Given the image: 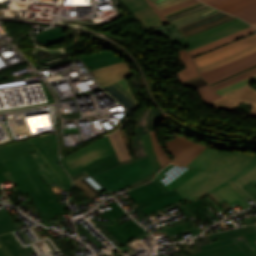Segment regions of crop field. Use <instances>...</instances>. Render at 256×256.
<instances>
[{
	"label": "crop field",
	"instance_id": "obj_1",
	"mask_svg": "<svg viewBox=\"0 0 256 256\" xmlns=\"http://www.w3.org/2000/svg\"><path fill=\"white\" fill-rule=\"evenodd\" d=\"M186 166L202 169L177 191L189 202L206 194L218 203H238L244 209L251 207L243 199L247 195L240 186L252 181L256 184V154L222 152L207 147Z\"/></svg>",
	"mask_w": 256,
	"mask_h": 256
},
{
	"label": "crop field",
	"instance_id": "obj_2",
	"mask_svg": "<svg viewBox=\"0 0 256 256\" xmlns=\"http://www.w3.org/2000/svg\"><path fill=\"white\" fill-rule=\"evenodd\" d=\"M32 151L28 140L0 147V162L6 165L21 194L30 195L43 222L50 227L47 219L69 212L66 204L57 203L58 196L36 170L40 167Z\"/></svg>",
	"mask_w": 256,
	"mask_h": 256
},
{
	"label": "crop field",
	"instance_id": "obj_3",
	"mask_svg": "<svg viewBox=\"0 0 256 256\" xmlns=\"http://www.w3.org/2000/svg\"><path fill=\"white\" fill-rule=\"evenodd\" d=\"M255 32L256 29L254 27L236 19L218 27L176 41L185 47L190 56L193 57Z\"/></svg>",
	"mask_w": 256,
	"mask_h": 256
},
{
	"label": "crop field",
	"instance_id": "obj_4",
	"mask_svg": "<svg viewBox=\"0 0 256 256\" xmlns=\"http://www.w3.org/2000/svg\"><path fill=\"white\" fill-rule=\"evenodd\" d=\"M154 172L150 159L146 156L109 169L95 175V177L100 180L109 191H111L110 193H113L114 191L130 185Z\"/></svg>",
	"mask_w": 256,
	"mask_h": 256
},
{
	"label": "crop field",
	"instance_id": "obj_5",
	"mask_svg": "<svg viewBox=\"0 0 256 256\" xmlns=\"http://www.w3.org/2000/svg\"><path fill=\"white\" fill-rule=\"evenodd\" d=\"M108 137L93 141L61 158L68 173H72L106 155L114 153Z\"/></svg>",
	"mask_w": 256,
	"mask_h": 256
},
{
	"label": "crop field",
	"instance_id": "obj_6",
	"mask_svg": "<svg viewBox=\"0 0 256 256\" xmlns=\"http://www.w3.org/2000/svg\"><path fill=\"white\" fill-rule=\"evenodd\" d=\"M109 206L113 210L104 213V215L113 223V225L107 226L106 228L121 244L127 243L133 238L147 232L133 219L120 225L116 219L127 214L116 202L109 204Z\"/></svg>",
	"mask_w": 256,
	"mask_h": 256
},
{
	"label": "crop field",
	"instance_id": "obj_7",
	"mask_svg": "<svg viewBox=\"0 0 256 256\" xmlns=\"http://www.w3.org/2000/svg\"><path fill=\"white\" fill-rule=\"evenodd\" d=\"M242 102L253 104L249 117L256 118V89H254L250 85L240 90H237L233 93H230L224 97H220L205 105H209L212 108H216L231 113Z\"/></svg>",
	"mask_w": 256,
	"mask_h": 256
},
{
	"label": "crop field",
	"instance_id": "obj_8",
	"mask_svg": "<svg viewBox=\"0 0 256 256\" xmlns=\"http://www.w3.org/2000/svg\"><path fill=\"white\" fill-rule=\"evenodd\" d=\"M165 142L167 148L175 157L171 163L184 166L206 148V145L198 142L196 143L178 134H175L174 138L168 139Z\"/></svg>",
	"mask_w": 256,
	"mask_h": 256
},
{
	"label": "crop field",
	"instance_id": "obj_9",
	"mask_svg": "<svg viewBox=\"0 0 256 256\" xmlns=\"http://www.w3.org/2000/svg\"><path fill=\"white\" fill-rule=\"evenodd\" d=\"M236 19L235 17L223 13L221 11L214 12L212 14L203 16L201 18L192 20L190 22L181 24L174 27L179 33L183 34L184 37L198 33L200 31L215 27L225 22Z\"/></svg>",
	"mask_w": 256,
	"mask_h": 256
},
{
	"label": "crop field",
	"instance_id": "obj_10",
	"mask_svg": "<svg viewBox=\"0 0 256 256\" xmlns=\"http://www.w3.org/2000/svg\"><path fill=\"white\" fill-rule=\"evenodd\" d=\"M256 64V52L239 58L227 65L214 68L205 72H201L200 75L209 83L216 82L237 72L245 70Z\"/></svg>",
	"mask_w": 256,
	"mask_h": 256
},
{
	"label": "crop field",
	"instance_id": "obj_11",
	"mask_svg": "<svg viewBox=\"0 0 256 256\" xmlns=\"http://www.w3.org/2000/svg\"><path fill=\"white\" fill-rule=\"evenodd\" d=\"M29 142L35 148V150L46 163V165L49 166V168L54 173V175L59 179V181L66 187L68 191H70L71 180L69 179L61 165L57 163V161L55 160V158L53 157V155L51 154V152L49 151L41 137L30 139Z\"/></svg>",
	"mask_w": 256,
	"mask_h": 256
},
{
	"label": "crop field",
	"instance_id": "obj_12",
	"mask_svg": "<svg viewBox=\"0 0 256 256\" xmlns=\"http://www.w3.org/2000/svg\"><path fill=\"white\" fill-rule=\"evenodd\" d=\"M91 72L102 87L117 82L125 77H129L133 74L128 61L91 70Z\"/></svg>",
	"mask_w": 256,
	"mask_h": 256
},
{
	"label": "crop field",
	"instance_id": "obj_13",
	"mask_svg": "<svg viewBox=\"0 0 256 256\" xmlns=\"http://www.w3.org/2000/svg\"><path fill=\"white\" fill-rule=\"evenodd\" d=\"M127 8L150 30L164 25L160 17L145 0H121Z\"/></svg>",
	"mask_w": 256,
	"mask_h": 256
},
{
	"label": "crop field",
	"instance_id": "obj_14",
	"mask_svg": "<svg viewBox=\"0 0 256 256\" xmlns=\"http://www.w3.org/2000/svg\"><path fill=\"white\" fill-rule=\"evenodd\" d=\"M128 193L136 202V204L146 200H148L151 204H153L178 194L176 190L164 194L153 180L144 185H141L137 188H134L128 191Z\"/></svg>",
	"mask_w": 256,
	"mask_h": 256
},
{
	"label": "crop field",
	"instance_id": "obj_15",
	"mask_svg": "<svg viewBox=\"0 0 256 256\" xmlns=\"http://www.w3.org/2000/svg\"><path fill=\"white\" fill-rule=\"evenodd\" d=\"M103 89L108 91L111 95L122 102L129 111L139 106L137 99L135 98L125 79L112 85L106 86Z\"/></svg>",
	"mask_w": 256,
	"mask_h": 256
},
{
	"label": "crop field",
	"instance_id": "obj_16",
	"mask_svg": "<svg viewBox=\"0 0 256 256\" xmlns=\"http://www.w3.org/2000/svg\"><path fill=\"white\" fill-rule=\"evenodd\" d=\"M80 58L89 70L125 61L113 51L99 52Z\"/></svg>",
	"mask_w": 256,
	"mask_h": 256
},
{
	"label": "crop field",
	"instance_id": "obj_17",
	"mask_svg": "<svg viewBox=\"0 0 256 256\" xmlns=\"http://www.w3.org/2000/svg\"><path fill=\"white\" fill-rule=\"evenodd\" d=\"M135 159H136V158H134V159H132V160H135ZM132 160H129V161H132ZM125 162H128V161H125ZM125 162L119 163V161H118V159H117V156H116V154L114 153V154H112V155L106 156V157H104V158H102V159H100V160H98V161H96V162L90 164L89 166H87V167H85V168H83V169H81V170H79V171H77V172L71 174V177L85 170V171L88 172L99 184H101V185L105 188V186H104L102 183H100L93 175H95V174H97V173H100V172H102V171H105V170H107V169H109V168H112V167H114V166H117V165H119V164L125 163ZM105 189H106V188H105ZM106 190H107V189H106ZM106 190H105V191H106ZM107 192H108V190H107ZM108 193H109V192H108ZM109 194H110V193H109ZM110 195H111V194H110Z\"/></svg>",
	"mask_w": 256,
	"mask_h": 256
},
{
	"label": "crop field",
	"instance_id": "obj_18",
	"mask_svg": "<svg viewBox=\"0 0 256 256\" xmlns=\"http://www.w3.org/2000/svg\"><path fill=\"white\" fill-rule=\"evenodd\" d=\"M255 44H256V38L251 39V40H249L247 42H244L242 44H239V45H237L235 47H232L230 49H227V50H225L223 52H220L218 54H215V55H212L210 57H207V58L201 59L199 61H196L195 63L197 65V67L199 68V67L204 66L206 64L221 60V59L226 58L230 55H233L235 53L243 51V50H245V49H247V48H249V47H251Z\"/></svg>",
	"mask_w": 256,
	"mask_h": 256
},
{
	"label": "crop field",
	"instance_id": "obj_19",
	"mask_svg": "<svg viewBox=\"0 0 256 256\" xmlns=\"http://www.w3.org/2000/svg\"><path fill=\"white\" fill-rule=\"evenodd\" d=\"M178 53L187 67L186 69L175 74L176 77L180 80V82L199 76V73L195 67V64L193 60L190 58V56L188 55V53L184 49L178 50Z\"/></svg>",
	"mask_w": 256,
	"mask_h": 256
},
{
	"label": "crop field",
	"instance_id": "obj_20",
	"mask_svg": "<svg viewBox=\"0 0 256 256\" xmlns=\"http://www.w3.org/2000/svg\"><path fill=\"white\" fill-rule=\"evenodd\" d=\"M64 28L56 27L52 29H48L34 38L35 42L39 41L46 45H50L56 42H62L66 39L65 35L62 33Z\"/></svg>",
	"mask_w": 256,
	"mask_h": 256
},
{
	"label": "crop field",
	"instance_id": "obj_21",
	"mask_svg": "<svg viewBox=\"0 0 256 256\" xmlns=\"http://www.w3.org/2000/svg\"><path fill=\"white\" fill-rule=\"evenodd\" d=\"M0 240L8 248V250L13 254V256H29L23 246L18 242V240L13 236L12 233L0 236ZM0 256H5L0 249Z\"/></svg>",
	"mask_w": 256,
	"mask_h": 256
},
{
	"label": "crop field",
	"instance_id": "obj_22",
	"mask_svg": "<svg viewBox=\"0 0 256 256\" xmlns=\"http://www.w3.org/2000/svg\"><path fill=\"white\" fill-rule=\"evenodd\" d=\"M204 3L229 12L241 6L256 2V0H201Z\"/></svg>",
	"mask_w": 256,
	"mask_h": 256
},
{
	"label": "crop field",
	"instance_id": "obj_23",
	"mask_svg": "<svg viewBox=\"0 0 256 256\" xmlns=\"http://www.w3.org/2000/svg\"><path fill=\"white\" fill-rule=\"evenodd\" d=\"M196 216H198L202 221L206 220L210 225L214 224L210 219H208L202 212L207 211L216 221H219L207 208L209 207L201 198L189 203L185 199L181 200Z\"/></svg>",
	"mask_w": 256,
	"mask_h": 256
},
{
	"label": "crop field",
	"instance_id": "obj_24",
	"mask_svg": "<svg viewBox=\"0 0 256 256\" xmlns=\"http://www.w3.org/2000/svg\"><path fill=\"white\" fill-rule=\"evenodd\" d=\"M214 11H217L207 5L197 9V10H194L192 12H189V13H186L184 15H181V16H178V17H175V18H172V19H169V21L172 23L171 25L172 26H176V25H179L181 23H184V22H187V21H190L192 19H195V18H198V17H201L203 15H206V14H209V13H212Z\"/></svg>",
	"mask_w": 256,
	"mask_h": 256
},
{
	"label": "crop field",
	"instance_id": "obj_25",
	"mask_svg": "<svg viewBox=\"0 0 256 256\" xmlns=\"http://www.w3.org/2000/svg\"><path fill=\"white\" fill-rule=\"evenodd\" d=\"M90 176L85 171L72 177L74 183L86 194L90 199L100 193V190L96 189L93 185H91L85 178ZM103 188V187H102ZM101 189V188H100Z\"/></svg>",
	"mask_w": 256,
	"mask_h": 256
},
{
	"label": "crop field",
	"instance_id": "obj_26",
	"mask_svg": "<svg viewBox=\"0 0 256 256\" xmlns=\"http://www.w3.org/2000/svg\"><path fill=\"white\" fill-rule=\"evenodd\" d=\"M108 137L116 151L119 161L121 162V161L129 160L130 156L127 152V149L124 145V142L121 138L119 131H116L115 133L109 135Z\"/></svg>",
	"mask_w": 256,
	"mask_h": 256
},
{
	"label": "crop field",
	"instance_id": "obj_27",
	"mask_svg": "<svg viewBox=\"0 0 256 256\" xmlns=\"http://www.w3.org/2000/svg\"><path fill=\"white\" fill-rule=\"evenodd\" d=\"M195 240L198 243L201 251L234 243L232 238L219 242L216 234L197 238Z\"/></svg>",
	"mask_w": 256,
	"mask_h": 256
},
{
	"label": "crop field",
	"instance_id": "obj_28",
	"mask_svg": "<svg viewBox=\"0 0 256 256\" xmlns=\"http://www.w3.org/2000/svg\"><path fill=\"white\" fill-rule=\"evenodd\" d=\"M140 137H141V141H142L143 148H144V154L149 155L151 162L154 166V169L156 171V174H157L162 169H161V167L158 163V160L156 158V155L154 153V149H153L149 131L147 133L141 135Z\"/></svg>",
	"mask_w": 256,
	"mask_h": 256
},
{
	"label": "crop field",
	"instance_id": "obj_29",
	"mask_svg": "<svg viewBox=\"0 0 256 256\" xmlns=\"http://www.w3.org/2000/svg\"><path fill=\"white\" fill-rule=\"evenodd\" d=\"M150 133H151L155 153H156L157 158H158V160H159V162H160V164L163 168L168 163H170L171 160H170L167 152L165 151V149L162 148V146L159 142L157 129L151 130Z\"/></svg>",
	"mask_w": 256,
	"mask_h": 256
},
{
	"label": "crop field",
	"instance_id": "obj_30",
	"mask_svg": "<svg viewBox=\"0 0 256 256\" xmlns=\"http://www.w3.org/2000/svg\"><path fill=\"white\" fill-rule=\"evenodd\" d=\"M250 24L256 22V3L229 12Z\"/></svg>",
	"mask_w": 256,
	"mask_h": 256
},
{
	"label": "crop field",
	"instance_id": "obj_31",
	"mask_svg": "<svg viewBox=\"0 0 256 256\" xmlns=\"http://www.w3.org/2000/svg\"><path fill=\"white\" fill-rule=\"evenodd\" d=\"M236 251H240V249L234 243V244L222 246L219 248L203 251V252L196 253L193 255H188V256H220V255H224V254H228Z\"/></svg>",
	"mask_w": 256,
	"mask_h": 256
},
{
	"label": "crop field",
	"instance_id": "obj_32",
	"mask_svg": "<svg viewBox=\"0 0 256 256\" xmlns=\"http://www.w3.org/2000/svg\"><path fill=\"white\" fill-rule=\"evenodd\" d=\"M18 230L17 225L8 214L7 210L0 209V234Z\"/></svg>",
	"mask_w": 256,
	"mask_h": 256
},
{
	"label": "crop field",
	"instance_id": "obj_33",
	"mask_svg": "<svg viewBox=\"0 0 256 256\" xmlns=\"http://www.w3.org/2000/svg\"><path fill=\"white\" fill-rule=\"evenodd\" d=\"M199 170L189 168L186 171H184L182 174H180L177 178H175L173 181H171L169 184L166 185V187L171 191L173 189H176L189 181L192 177H194Z\"/></svg>",
	"mask_w": 256,
	"mask_h": 256
},
{
	"label": "crop field",
	"instance_id": "obj_34",
	"mask_svg": "<svg viewBox=\"0 0 256 256\" xmlns=\"http://www.w3.org/2000/svg\"><path fill=\"white\" fill-rule=\"evenodd\" d=\"M181 199H183V197L180 194H178V195H176L174 197H171L169 199H166L162 202H159V203L154 204V205L147 206V207L139 209V210H142L146 215H148V214H150L152 212H155L159 209H162V208H164V207H166V206H168L172 203H175V202H177ZM139 210H136V211H139ZM136 211H134V212H136ZM134 212H131L130 214H132Z\"/></svg>",
	"mask_w": 256,
	"mask_h": 256
},
{
	"label": "crop field",
	"instance_id": "obj_35",
	"mask_svg": "<svg viewBox=\"0 0 256 256\" xmlns=\"http://www.w3.org/2000/svg\"><path fill=\"white\" fill-rule=\"evenodd\" d=\"M254 51H256V45L253 46V47H251V48H249V49H247V50H245V51H243V52H240V53H238V54H235V55H233V56H231V57H228V58L223 59V60H221V61H218V62L209 64V65H206V66H204V67H201V68H199L198 70H199V72H201V71H205V70H208V69H211V68H214V67H218V66L227 64V63H229V62H231V61H233V60H235V59H237V58H239V57H242V56L247 55V54H249V53H252V52H254Z\"/></svg>",
	"mask_w": 256,
	"mask_h": 256
},
{
	"label": "crop field",
	"instance_id": "obj_36",
	"mask_svg": "<svg viewBox=\"0 0 256 256\" xmlns=\"http://www.w3.org/2000/svg\"><path fill=\"white\" fill-rule=\"evenodd\" d=\"M185 232H187V230L182 225V223H180V224L173 225V226H170L168 228H165L163 230L153 232V234L156 238H159V237H164V236L169 237V236H173V235H176V234H179V233L182 234V233H185Z\"/></svg>",
	"mask_w": 256,
	"mask_h": 256
},
{
	"label": "crop field",
	"instance_id": "obj_37",
	"mask_svg": "<svg viewBox=\"0 0 256 256\" xmlns=\"http://www.w3.org/2000/svg\"><path fill=\"white\" fill-rule=\"evenodd\" d=\"M254 82H256V75H254L252 77H249V78H247L245 80H242V81H240L238 83H235V84H233V85H231L229 87L226 86L227 88L216 90V92L218 94L224 96V95H226V94H228L230 92H233V91H235L237 89H240V88H242V87H244V86H246L248 84L254 83Z\"/></svg>",
	"mask_w": 256,
	"mask_h": 256
},
{
	"label": "crop field",
	"instance_id": "obj_38",
	"mask_svg": "<svg viewBox=\"0 0 256 256\" xmlns=\"http://www.w3.org/2000/svg\"><path fill=\"white\" fill-rule=\"evenodd\" d=\"M196 91H197L202 103H204V104L213 99L220 97L218 94H216L213 91L212 87L209 85L199 88Z\"/></svg>",
	"mask_w": 256,
	"mask_h": 256
},
{
	"label": "crop field",
	"instance_id": "obj_39",
	"mask_svg": "<svg viewBox=\"0 0 256 256\" xmlns=\"http://www.w3.org/2000/svg\"><path fill=\"white\" fill-rule=\"evenodd\" d=\"M254 231H256V230H255L254 226L251 225V226L243 227V228L236 229V230L218 233L217 235L219 237V240L221 241V240H224V239H227L230 237L239 236L241 234L254 232Z\"/></svg>",
	"mask_w": 256,
	"mask_h": 256
},
{
	"label": "crop field",
	"instance_id": "obj_40",
	"mask_svg": "<svg viewBox=\"0 0 256 256\" xmlns=\"http://www.w3.org/2000/svg\"><path fill=\"white\" fill-rule=\"evenodd\" d=\"M42 139L56 158L59 163V152H58V144H57V137L55 134L43 136ZM60 164V163H59Z\"/></svg>",
	"mask_w": 256,
	"mask_h": 256
},
{
	"label": "crop field",
	"instance_id": "obj_41",
	"mask_svg": "<svg viewBox=\"0 0 256 256\" xmlns=\"http://www.w3.org/2000/svg\"><path fill=\"white\" fill-rule=\"evenodd\" d=\"M254 37H256V33L253 34V35H251V36H248V37H246V38H244V39H241V40L238 39L239 41H236V42H234V43L228 44V45H226V46H223V47L217 48V49H215V50L209 51V52H207V53H204V54L198 55V56H196V57H193L192 59H193L194 61L199 60V59H201V58H204V57L210 56V55H212V54L218 53V52H220V51H223V50H225V49H227V48H230V47H232V46H235V45H237V44H239V43H242V42L247 41V40H249V39H251V38H254Z\"/></svg>",
	"mask_w": 256,
	"mask_h": 256
},
{
	"label": "crop field",
	"instance_id": "obj_42",
	"mask_svg": "<svg viewBox=\"0 0 256 256\" xmlns=\"http://www.w3.org/2000/svg\"><path fill=\"white\" fill-rule=\"evenodd\" d=\"M186 169L187 168H185V167L175 165L170 170H168L166 173H164L167 176L164 179H162L161 181L166 185L167 183H169L171 180H173L176 176H178L180 173H182Z\"/></svg>",
	"mask_w": 256,
	"mask_h": 256
},
{
	"label": "crop field",
	"instance_id": "obj_43",
	"mask_svg": "<svg viewBox=\"0 0 256 256\" xmlns=\"http://www.w3.org/2000/svg\"><path fill=\"white\" fill-rule=\"evenodd\" d=\"M197 2H199V1L198 0H188V1H185V2H182V3H179L177 5L161 9V11L163 12L164 15H166V14H169L171 12L177 11L179 9H182V8L188 7L190 5H193Z\"/></svg>",
	"mask_w": 256,
	"mask_h": 256
},
{
	"label": "crop field",
	"instance_id": "obj_44",
	"mask_svg": "<svg viewBox=\"0 0 256 256\" xmlns=\"http://www.w3.org/2000/svg\"><path fill=\"white\" fill-rule=\"evenodd\" d=\"M255 70H256V66H254V67H252V68H249V69H247V70H245V71H242V72H240V73H237V74H235V75H233V76H230V77H228V78H226V79H223V80H221V81H218V82H216V83H212L211 86L214 87V86L221 85V84H223V83H226V82H229V81H231V80H234V79H236V78H238V77H241V76H243V75H245V74H248V73H250V72H252V71H255Z\"/></svg>",
	"mask_w": 256,
	"mask_h": 256
},
{
	"label": "crop field",
	"instance_id": "obj_45",
	"mask_svg": "<svg viewBox=\"0 0 256 256\" xmlns=\"http://www.w3.org/2000/svg\"><path fill=\"white\" fill-rule=\"evenodd\" d=\"M207 84L208 83L206 81H204L200 76L193 78L191 80L182 82L183 86H190V87H194V88H199V87H202Z\"/></svg>",
	"mask_w": 256,
	"mask_h": 256
},
{
	"label": "crop field",
	"instance_id": "obj_46",
	"mask_svg": "<svg viewBox=\"0 0 256 256\" xmlns=\"http://www.w3.org/2000/svg\"><path fill=\"white\" fill-rule=\"evenodd\" d=\"M152 1L155 3V5L159 9H161V8L168 7V6L177 4V3L185 1V0H152Z\"/></svg>",
	"mask_w": 256,
	"mask_h": 256
},
{
	"label": "crop field",
	"instance_id": "obj_47",
	"mask_svg": "<svg viewBox=\"0 0 256 256\" xmlns=\"http://www.w3.org/2000/svg\"><path fill=\"white\" fill-rule=\"evenodd\" d=\"M203 5H205V4H203V3L200 2V3L196 4V5H193V6H190V7H188V8L182 9V10H180V11H177V12L171 13V14H169V15H166V17H167V19H169V18L178 16V15L184 14V13H186V12L192 11V10H194V9H197V8L203 6Z\"/></svg>",
	"mask_w": 256,
	"mask_h": 256
},
{
	"label": "crop field",
	"instance_id": "obj_48",
	"mask_svg": "<svg viewBox=\"0 0 256 256\" xmlns=\"http://www.w3.org/2000/svg\"><path fill=\"white\" fill-rule=\"evenodd\" d=\"M12 180L8 170L4 166L3 162L0 163V183Z\"/></svg>",
	"mask_w": 256,
	"mask_h": 256
},
{
	"label": "crop field",
	"instance_id": "obj_49",
	"mask_svg": "<svg viewBox=\"0 0 256 256\" xmlns=\"http://www.w3.org/2000/svg\"><path fill=\"white\" fill-rule=\"evenodd\" d=\"M256 228V225H254ZM246 237V239L248 240L247 243L249 244V246L254 250V252L256 253V232L254 233H250V234H245L244 235Z\"/></svg>",
	"mask_w": 256,
	"mask_h": 256
},
{
	"label": "crop field",
	"instance_id": "obj_50",
	"mask_svg": "<svg viewBox=\"0 0 256 256\" xmlns=\"http://www.w3.org/2000/svg\"><path fill=\"white\" fill-rule=\"evenodd\" d=\"M237 245L247 256H256V254L252 251V249L247 245L246 242H241Z\"/></svg>",
	"mask_w": 256,
	"mask_h": 256
},
{
	"label": "crop field",
	"instance_id": "obj_51",
	"mask_svg": "<svg viewBox=\"0 0 256 256\" xmlns=\"http://www.w3.org/2000/svg\"><path fill=\"white\" fill-rule=\"evenodd\" d=\"M149 5L155 10V12L161 17V19L164 21L166 24H171L165 16L161 13V11L154 5V3L151 0H146Z\"/></svg>",
	"mask_w": 256,
	"mask_h": 256
},
{
	"label": "crop field",
	"instance_id": "obj_52",
	"mask_svg": "<svg viewBox=\"0 0 256 256\" xmlns=\"http://www.w3.org/2000/svg\"><path fill=\"white\" fill-rule=\"evenodd\" d=\"M254 74H256V71L253 72V73H250V74H248V75H245V76H243V77H241V78H238V79H236V80H234V81H231V82H229V83L223 84V85L218 86V87H214V90L220 89V88H224V87H226V86H229V85H231V84H233V83H235V82H238V81H240V80H242V79H245V78H247V77H249V76H252V75H254Z\"/></svg>",
	"mask_w": 256,
	"mask_h": 256
},
{
	"label": "crop field",
	"instance_id": "obj_53",
	"mask_svg": "<svg viewBox=\"0 0 256 256\" xmlns=\"http://www.w3.org/2000/svg\"><path fill=\"white\" fill-rule=\"evenodd\" d=\"M96 224L99 226V228L114 242H118L109 232L108 230L105 228V226L100 222H96Z\"/></svg>",
	"mask_w": 256,
	"mask_h": 256
},
{
	"label": "crop field",
	"instance_id": "obj_54",
	"mask_svg": "<svg viewBox=\"0 0 256 256\" xmlns=\"http://www.w3.org/2000/svg\"><path fill=\"white\" fill-rule=\"evenodd\" d=\"M242 188L256 201V191H254L248 184L242 186Z\"/></svg>",
	"mask_w": 256,
	"mask_h": 256
},
{
	"label": "crop field",
	"instance_id": "obj_55",
	"mask_svg": "<svg viewBox=\"0 0 256 256\" xmlns=\"http://www.w3.org/2000/svg\"><path fill=\"white\" fill-rule=\"evenodd\" d=\"M252 105H248V104H244L242 103L237 109L236 111H240V112H244V113H248L251 109Z\"/></svg>",
	"mask_w": 256,
	"mask_h": 256
},
{
	"label": "crop field",
	"instance_id": "obj_56",
	"mask_svg": "<svg viewBox=\"0 0 256 256\" xmlns=\"http://www.w3.org/2000/svg\"><path fill=\"white\" fill-rule=\"evenodd\" d=\"M154 175H155V173L152 174V175H150V176H148V177H146V178H144V179H142V180H140V181H138V182H136V183H134V184H132V185H130L131 188H134V187H136V186H138V185H141V184H143V183H145V182H147V181L152 180V178L154 177Z\"/></svg>",
	"mask_w": 256,
	"mask_h": 256
},
{
	"label": "crop field",
	"instance_id": "obj_57",
	"mask_svg": "<svg viewBox=\"0 0 256 256\" xmlns=\"http://www.w3.org/2000/svg\"><path fill=\"white\" fill-rule=\"evenodd\" d=\"M182 223L184 224L188 231L196 228V226L190 220L184 221Z\"/></svg>",
	"mask_w": 256,
	"mask_h": 256
},
{
	"label": "crop field",
	"instance_id": "obj_58",
	"mask_svg": "<svg viewBox=\"0 0 256 256\" xmlns=\"http://www.w3.org/2000/svg\"><path fill=\"white\" fill-rule=\"evenodd\" d=\"M154 181L162 189L164 193L169 192V190L160 182V180L157 177L154 179Z\"/></svg>",
	"mask_w": 256,
	"mask_h": 256
},
{
	"label": "crop field",
	"instance_id": "obj_59",
	"mask_svg": "<svg viewBox=\"0 0 256 256\" xmlns=\"http://www.w3.org/2000/svg\"><path fill=\"white\" fill-rule=\"evenodd\" d=\"M173 165H169V166H167L165 169H163L159 174H158V178L161 180L163 177H165L166 175H164L163 173L165 172V171H167L169 168H171Z\"/></svg>",
	"mask_w": 256,
	"mask_h": 256
},
{
	"label": "crop field",
	"instance_id": "obj_60",
	"mask_svg": "<svg viewBox=\"0 0 256 256\" xmlns=\"http://www.w3.org/2000/svg\"><path fill=\"white\" fill-rule=\"evenodd\" d=\"M90 183H92L97 189L102 187L101 185H99L91 176L86 178Z\"/></svg>",
	"mask_w": 256,
	"mask_h": 256
},
{
	"label": "crop field",
	"instance_id": "obj_61",
	"mask_svg": "<svg viewBox=\"0 0 256 256\" xmlns=\"http://www.w3.org/2000/svg\"><path fill=\"white\" fill-rule=\"evenodd\" d=\"M1 249L6 254V256H12V254L7 250V248L3 245V243L0 241Z\"/></svg>",
	"mask_w": 256,
	"mask_h": 256
},
{
	"label": "crop field",
	"instance_id": "obj_62",
	"mask_svg": "<svg viewBox=\"0 0 256 256\" xmlns=\"http://www.w3.org/2000/svg\"><path fill=\"white\" fill-rule=\"evenodd\" d=\"M233 239H234V241H235L236 243L241 242V241H246V239L244 238L243 235H241V236H239V237H235V238H233Z\"/></svg>",
	"mask_w": 256,
	"mask_h": 256
},
{
	"label": "crop field",
	"instance_id": "obj_63",
	"mask_svg": "<svg viewBox=\"0 0 256 256\" xmlns=\"http://www.w3.org/2000/svg\"><path fill=\"white\" fill-rule=\"evenodd\" d=\"M224 256H245V254L242 251H240V252H236V253H232Z\"/></svg>",
	"mask_w": 256,
	"mask_h": 256
},
{
	"label": "crop field",
	"instance_id": "obj_64",
	"mask_svg": "<svg viewBox=\"0 0 256 256\" xmlns=\"http://www.w3.org/2000/svg\"><path fill=\"white\" fill-rule=\"evenodd\" d=\"M254 190H256V186H254L253 184L251 183H248Z\"/></svg>",
	"mask_w": 256,
	"mask_h": 256
},
{
	"label": "crop field",
	"instance_id": "obj_65",
	"mask_svg": "<svg viewBox=\"0 0 256 256\" xmlns=\"http://www.w3.org/2000/svg\"><path fill=\"white\" fill-rule=\"evenodd\" d=\"M252 25L256 26V23H255V24H252Z\"/></svg>",
	"mask_w": 256,
	"mask_h": 256
}]
</instances>
